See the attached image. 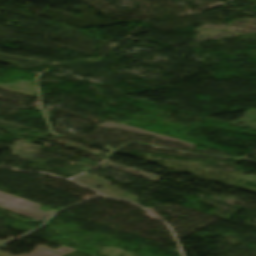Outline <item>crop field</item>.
<instances>
[{
  "mask_svg": "<svg viewBox=\"0 0 256 256\" xmlns=\"http://www.w3.org/2000/svg\"><path fill=\"white\" fill-rule=\"evenodd\" d=\"M0 206H4L6 210L37 220H41L46 216V214H42L37 210L41 205L22 200L3 192H0Z\"/></svg>",
  "mask_w": 256,
  "mask_h": 256,
  "instance_id": "obj_1",
  "label": "crop field"
}]
</instances>
